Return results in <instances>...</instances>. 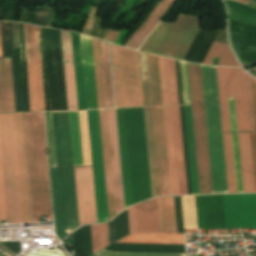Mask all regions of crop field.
Wrapping results in <instances>:
<instances>
[{
  "label": "crop field",
  "instance_id": "8a807250",
  "mask_svg": "<svg viewBox=\"0 0 256 256\" xmlns=\"http://www.w3.org/2000/svg\"><path fill=\"white\" fill-rule=\"evenodd\" d=\"M126 208L152 198L143 108L117 109Z\"/></svg>",
  "mask_w": 256,
  "mask_h": 256
},
{
  "label": "crop field",
  "instance_id": "ac0d7876",
  "mask_svg": "<svg viewBox=\"0 0 256 256\" xmlns=\"http://www.w3.org/2000/svg\"><path fill=\"white\" fill-rule=\"evenodd\" d=\"M57 168H51L56 234L66 238L79 227L67 112L52 113Z\"/></svg>",
  "mask_w": 256,
  "mask_h": 256
},
{
  "label": "crop field",
  "instance_id": "34b2d1b8",
  "mask_svg": "<svg viewBox=\"0 0 256 256\" xmlns=\"http://www.w3.org/2000/svg\"><path fill=\"white\" fill-rule=\"evenodd\" d=\"M32 222L51 215L43 113H24Z\"/></svg>",
  "mask_w": 256,
  "mask_h": 256
},
{
  "label": "crop field",
  "instance_id": "412701ff",
  "mask_svg": "<svg viewBox=\"0 0 256 256\" xmlns=\"http://www.w3.org/2000/svg\"><path fill=\"white\" fill-rule=\"evenodd\" d=\"M201 70L213 193H227L215 67Z\"/></svg>",
  "mask_w": 256,
  "mask_h": 256
},
{
  "label": "crop field",
  "instance_id": "f4fd0767",
  "mask_svg": "<svg viewBox=\"0 0 256 256\" xmlns=\"http://www.w3.org/2000/svg\"><path fill=\"white\" fill-rule=\"evenodd\" d=\"M198 29V16L179 13L174 24L161 21L140 50L183 60Z\"/></svg>",
  "mask_w": 256,
  "mask_h": 256
},
{
  "label": "crop field",
  "instance_id": "dd49c442",
  "mask_svg": "<svg viewBox=\"0 0 256 256\" xmlns=\"http://www.w3.org/2000/svg\"><path fill=\"white\" fill-rule=\"evenodd\" d=\"M200 194L212 193L200 65L187 63Z\"/></svg>",
  "mask_w": 256,
  "mask_h": 256
},
{
  "label": "crop field",
  "instance_id": "e52e79f7",
  "mask_svg": "<svg viewBox=\"0 0 256 256\" xmlns=\"http://www.w3.org/2000/svg\"><path fill=\"white\" fill-rule=\"evenodd\" d=\"M117 108L143 106L138 52L110 44Z\"/></svg>",
  "mask_w": 256,
  "mask_h": 256
},
{
  "label": "crop field",
  "instance_id": "d8731c3e",
  "mask_svg": "<svg viewBox=\"0 0 256 256\" xmlns=\"http://www.w3.org/2000/svg\"><path fill=\"white\" fill-rule=\"evenodd\" d=\"M7 223H21L13 114H0Z\"/></svg>",
  "mask_w": 256,
  "mask_h": 256
},
{
  "label": "crop field",
  "instance_id": "5a996713",
  "mask_svg": "<svg viewBox=\"0 0 256 256\" xmlns=\"http://www.w3.org/2000/svg\"><path fill=\"white\" fill-rule=\"evenodd\" d=\"M222 132L231 131L227 97H234L237 131H248L242 69L216 67Z\"/></svg>",
  "mask_w": 256,
  "mask_h": 256
},
{
  "label": "crop field",
  "instance_id": "3316defc",
  "mask_svg": "<svg viewBox=\"0 0 256 256\" xmlns=\"http://www.w3.org/2000/svg\"><path fill=\"white\" fill-rule=\"evenodd\" d=\"M31 111H45L39 28L24 24Z\"/></svg>",
  "mask_w": 256,
  "mask_h": 256
},
{
  "label": "crop field",
  "instance_id": "28ad6ade",
  "mask_svg": "<svg viewBox=\"0 0 256 256\" xmlns=\"http://www.w3.org/2000/svg\"><path fill=\"white\" fill-rule=\"evenodd\" d=\"M22 223L31 222L23 113L14 114Z\"/></svg>",
  "mask_w": 256,
  "mask_h": 256
},
{
  "label": "crop field",
  "instance_id": "d1516ede",
  "mask_svg": "<svg viewBox=\"0 0 256 256\" xmlns=\"http://www.w3.org/2000/svg\"><path fill=\"white\" fill-rule=\"evenodd\" d=\"M74 171L80 226L97 223L91 167H74Z\"/></svg>",
  "mask_w": 256,
  "mask_h": 256
},
{
  "label": "crop field",
  "instance_id": "22f410ed",
  "mask_svg": "<svg viewBox=\"0 0 256 256\" xmlns=\"http://www.w3.org/2000/svg\"><path fill=\"white\" fill-rule=\"evenodd\" d=\"M198 229H225L221 195L195 196Z\"/></svg>",
  "mask_w": 256,
  "mask_h": 256
},
{
  "label": "crop field",
  "instance_id": "cbeb9de0",
  "mask_svg": "<svg viewBox=\"0 0 256 256\" xmlns=\"http://www.w3.org/2000/svg\"><path fill=\"white\" fill-rule=\"evenodd\" d=\"M152 111H153L160 191H161V195H170L162 107H152Z\"/></svg>",
  "mask_w": 256,
  "mask_h": 256
},
{
  "label": "crop field",
  "instance_id": "5142ce71",
  "mask_svg": "<svg viewBox=\"0 0 256 256\" xmlns=\"http://www.w3.org/2000/svg\"><path fill=\"white\" fill-rule=\"evenodd\" d=\"M116 214L123 210L114 110H106Z\"/></svg>",
  "mask_w": 256,
  "mask_h": 256
},
{
  "label": "crop field",
  "instance_id": "d9b57169",
  "mask_svg": "<svg viewBox=\"0 0 256 256\" xmlns=\"http://www.w3.org/2000/svg\"><path fill=\"white\" fill-rule=\"evenodd\" d=\"M80 40L87 109H97L91 38L80 35Z\"/></svg>",
  "mask_w": 256,
  "mask_h": 256
},
{
  "label": "crop field",
  "instance_id": "733c2abd",
  "mask_svg": "<svg viewBox=\"0 0 256 256\" xmlns=\"http://www.w3.org/2000/svg\"><path fill=\"white\" fill-rule=\"evenodd\" d=\"M67 106L77 110L70 32L60 31Z\"/></svg>",
  "mask_w": 256,
  "mask_h": 256
},
{
  "label": "crop field",
  "instance_id": "4a817a6b",
  "mask_svg": "<svg viewBox=\"0 0 256 256\" xmlns=\"http://www.w3.org/2000/svg\"><path fill=\"white\" fill-rule=\"evenodd\" d=\"M174 1L175 0H162L153 10L143 26L131 36L126 44V47L137 50L145 38L162 19Z\"/></svg>",
  "mask_w": 256,
  "mask_h": 256
},
{
  "label": "crop field",
  "instance_id": "bc2a9ffb",
  "mask_svg": "<svg viewBox=\"0 0 256 256\" xmlns=\"http://www.w3.org/2000/svg\"><path fill=\"white\" fill-rule=\"evenodd\" d=\"M99 116H100L101 138H102L108 215H109V219H111L112 217L115 216V210H114V200H113V189H112V178H111V168H110V157H109L105 110L99 111Z\"/></svg>",
  "mask_w": 256,
  "mask_h": 256
},
{
  "label": "crop field",
  "instance_id": "214f88e0",
  "mask_svg": "<svg viewBox=\"0 0 256 256\" xmlns=\"http://www.w3.org/2000/svg\"><path fill=\"white\" fill-rule=\"evenodd\" d=\"M171 111H172L179 191H180V195H184V194H187V189H186V178H185V167H184V156H183V144H182L179 106L171 107Z\"/></svg>",
  "mask_w": 256,
  "mask_h": 256
},
{
  "label": "crop field",
  "instance_id": "92a150f3",
  "mask_svg": "<svg viewBox=\"0 0 256 256\" xmlns=\"http://www.w3.org/2000/svg\"><path fill=\"white\" fill-rule=\"evenodd\" d=\"M138 233L160 232L156 199L135 205Z\"/></svg>",
  "mask_w": 256,
  "mask_h": 256
},
{
  "label": "crop field",
  "instance_id": "dafd665d",
  "mask_svg": "<svg viewBox=\"0 0 256 256\" xmlns=\"http://www.w3.org/2000/svg\"><path fill=\"white\" fill-rule=\"evenodd\" d=\"M163 112L167 145L170 190L171 195H179L170 107H163Z\"/></svg>",
  "mask_w": 256,
  "mask_h": 256
},
{
  "label": "crop field",
  "instance_id": "00972430",
  "mask_svg": "<svg viewBox=\"0 0 256 256\" xmlns=\"http://www.w3.org/2000/svg\"><path fill=\"white\" fill-rule=\"evenodd\" d=\"M243 192H254L248 133H237Z\"/></svg>",
  "mask_w": 256,
  "mask_h": 256
},
{
  "label": "crop field",
  "instance_id": "a9b5d70f",
  "mask_svg": "<svg viewBox=\"0 0 256 256\" xmlns=\"http://www.w3.org/2000/svg\"><path fill=\"white\" fill-rule=\"evenodd\" d=\"M144 112H145L152 192H153V197H155V196L160 195V191H159V181H158V171H157V161H156V151H155V141H154V131H153L151 107L144 108Z\"/></svg>",
  "mask_w": 256,
  "mask_h": 256
},
{
  "label": "crop field",
  "instance_id": "4177f3b9",
  "mask_svg": "<svg viewBox=\"0 0 256 256\" xmlns=\"http://www.w3.org/2000/svg\"><path fill=\"white\" fill-rule=\"evenodd\" d=\"M183 110H184L191 190H192V194H199L190 106H183Z\"/></svg>",
  "mask_w": 256,
  "mask_h": 256
},
{
  "label": "crop field",
  "instance_id": "730fd06b",
  "mask_svg": "<svg viewBox=\"0 0 256 256\" xmlns=\"http://www.w3.org/2000/svg\"><path fill=\"white\" fill-rule=\"evenodd\" d=\"M216 41L227 43L225 29L220 31ZM214 41L204 63L211 64L213 57H220L219 64L221 66H239L235 56L233 55L229 45Z\"/></svg>",
  "mask_w": 256,
  "mask_h": 256
},
{
  "label": "crop field",
  "instance_id": "eef30255",
  "mask_svg": "<svg viewBox=\"0 0 256 256\" xmlns=\"http://www.w3.org/2000/svg\"><path fill=\"white\" fill-rule=\"evenodd\" d=\"M117 242L184 244L183 234H130Z\"/></svg>",
  "mask_w": 256,
  "mask_h": 256
},
{
  "label": "crop field",
  "instance_id": "ae1a2a85",
  "mask_svg": "<svg viewBox=\"0 0 256 256\" xmlns=\"http://www.w3.org/2000/svg\"><path fill=\"white\" fill-rule=\"evenodd\" d=\"M161 232L177 233L173 197L157 198Z\"/></svg>",
  "mask_w": 256,
  "mask_h": 256
},
{
  "label": "crop field",
  "instance_id": "d3111659",
  "mask_svg": "<svg viewBox=\"0 0 256 256\" xmlns=\"http://www.w3.org/2000/svg\"><path fill=\"white\" fill-rule=\"evenodd\" d=\"M100 54L106 108H114L108 43L100 41Z\"/></svg>",
  "mask_w": 256,
  "mask_h": 256
},
{
  "label": "crop field",
  "instance_id": "750c4746",
  "mask_svg": "<svg viewBox=\"0 0 256 256\" xmlns=\"http://www.w3.org/2000/svg\"><path fill=\"white\" fill-rule=\"evenodd\" d=\"M73 166L83 165L78 112H68Z\"/></svg>",
  "mask_w": 256,
  "mask_h": 256
},
{
  "label": "crop field",
  "instance_id": "bd1437ed",
  "mask_svg": "<svg viewBox=\"0 0 256 256\" xmlns=\"http://www.w3.org/2000/svg\"><path fill=\"white\" fill-rule=\"evenodd\" d=\"M249 131H256V80L243 71Z\"/></svg>",
  "mask_w": 256,
  "mask_h": 256
},
{
  "label": "crop field",
  "instance_id": "1d83c4d3",
  "mask_svg": "<svg viewBox=\"0 0 256 256\" xmlns=\"http://www.w3.org/2000/svg\"><path fill=\"white\" fill-rule=\"evenodd\" d=\"M147 59L152 106L162 105L157 57L147 54Z\"/></svg>",
  "mask_w": 256,
  "mask_h": 256
},
{
  "label": "crop field",
  "instance_id": "120bbe31",
  "mask_svg": "<svg viewBox=\"0 0 256 256\" xmlns=\"http://www.w3.org/2000/svg\"><path fill=\"white\" fill-rule=\"evenodd\" d=\"M228 193L236 192L231 133L223 134Z\"/></svg>",
  "mask_w": 256,
  "mask_h": 256
},
{
  "label": "crop field",
  "instance_id": "d32e631a",
  "mask_svg": "<svg viewBox=\"0 0 256 256\" xmlns=\"http://www.w3.org/2000/svg\"><path fill=\"white\" fill-rule=\"evenodd\" d=\"M110 244L129 234L127 210L108 223Z\"/></svg>",
  "mask_w": 256,
  "mask_h": 256
},
{
  "label": "crop field",
  "instance_id": "5866460e",
  "mask_svg": "<svg viewBox=\"0 0 256 256\" xmlns=\"http://www.w3.org/2000/svg\"><path fill=\"white\" fill-rule=\"evenodd\" d=\"M92 43H93V54H94L97 103H98V109H102V108H105V104H104V94H103V84H102V74H101V64H100L99 44H98V40L93 38H92Z\"/></svg>",
  "mask_w": 256,
  "mask_h": 256
},
{
  "label": "crop field",
  "instance_id": "028f5c9d",
  "mask_svg": "<svg viewBox=\"0 0 256 256\" xmlns=\"http://www.w3.org/2000/svg\"><path fill=\"white\" fill-rule=\"evenodd\" d=\"M184 229H197L194 196L181 197Z\"/></svg>",
  "mask_w": 256,
  "mask_h": 256
},
{
  "label": "crop field",
  "instance_id": "e1f06a70",
  "mask_svg": "<svg viewBox=\"0 0 256 256\" xmlns=\"http://www.w3.org/2000/svg\"><path fill=\"white\" fill-rule=\"evenodd\" d=\"M5 72L7 112H15L11 60H3Z\"/></svg>",
  "mask_w": 256,
  "mask_h": 256
},
{
  "label": "crop field",
  "instance_id": "0bd39190",
  "mask_svg": "<svg viewBox=\"0 0 256 256\" xmlns=\"http://www.w3.org/2000/svg\"><path fill=\"white\" fill-rule=\"evenodd\" d=\"M84 165H91L86 111L79 112Z\"/></svg>",
  "mask_w": 256,
  "mask_h": 256
},
{
  "label": "crop field",
  "instance_id": "b80d0937",
  "mask_svg": "<svg viewBox=\"0 0 256 256\" xmlns=\"http://www.w3.org/2000/svg\"><path fill=\"white\" fill-rule=\"evenodd\" d=\"M139 57L144 106H151L146 54L139 52Z\"/></svg>",
  "mask_w": 256,
  "mask_h": 256
},
{
  "label": "crop field",
  "instance_id": "c035e120",
  "mask_svg": "<svg viewBox=\"0 0 256 256\" xmlns=\"http://www.w3.org/2000/svg\"><path fill=\"white\" fill-rule=\"evenodd\" d=\"M163 105H170L166 58L158 57Z\"/></svg>",
  "mask_w": 256,
  "mask_h": 256
},
{
  "label": "crop field",
  "instance_id": "c21b1889",
  "mask_svg": "<svg viewBox=\"0 0 256 256\" xmlns=\"http://www.w3.org/2000/svg\"><path fill=\"white\" fill-rule=\"evenodd\" d=\"M167 63H168L171 105H175V104H179L176 73H175V64H174V60L168 59V58H167Z\"/></svg>",
  "mask_w": 256,
  "mask_h": 256
},
{
  "label": "crop field",
  "instance_id": "03da06ac",
  "mask_svg": "<svg viewBox=\"0 0 256 256\" xmlns=\"http://www.w3.org/2000/svg\"><path fill=\"white\" fill-rule=\"evenodd\" d=\"M179 66L183 104H190L186 63L179 61Z\"/></svg>",
  "mask_w": 256,
  "mask_h": 256
},
{
  "label": "crop field",
  "instance_id": "b54c1fbb",
  "mask_svg": "<svg viewBox=\"0 0 256 256\" xmlns=\"http://www.w3.org/2000/svg\"><path fill=\"white\" fill-rule=\"evenodd\" d=\"M232 138H233V150H234L237 192H242L236 133H232Z\"/></svg>",
  "mask_w": 256,
  "mask_h": 256
},
{
  "label": "crop field",
  "instance_id": "5d738f31",
  "mask_svg": "<svg viewBox=\"0 0 256 256\" xmlns=\"http://www.w3.org/2000/svg\"><path fill=\"white\" fill-rule=\"evenodd\" d=\"M0 57H2L1 39H0ZM0 112H6L2 58H0Z\"/></svg>",
  "mask_w": 256,
  "mask_h": 256
},
{
  "label": "crop field",
  "instance_id": "d23c7cc5",
  "mask_svg": "<svg viewBox=\"0 0 256 256\" xmlns=\"http://www.w3.org/2000/svg\"><path fill=\"white\" fill-rule=\"evenodd\" d=\"M96 255L100 256H185V254H136V253H113L109 251H101Z\"/></svg>",
  "mask_w": 256,
  "mask_h": 256
},
{
  "label": "crop field",
  "instance_id": "425ffa30",
  "mask_svg": "<svg viewBox=\"0 0 256 256\" xmlns=\"http://www.w3.org/2000/svg\"><path fill=\"white\" fill-rule=\"evenodd\" d=\"M0 218H1V221H6L2 161H1V147H0Z\"/></svg>",
  "mask_w": 256,
  "mask_h": 256
},
{
  "label": "crop field",
  "instance_id": "25e5ab78",
  "mask_svg": "<svg viewBox=\"0 0 256 256\" xmlns=\"http://www.w3.org/2000/svg\"><path fill=\"white\" fill-rule=\"evenodd\" d=\"M249 137H250L254 187H255V192H256V132L255 133H249Z\"/></svg>",
  "mask_w": 256,
  "mask_h": 256
},
{
  "label": "crop field",
  "instance_id": "73cf0c24",
  "mask_svg": "<svg viewBox=\"0 0 256 256\" xmlns=\"http://www.w3.org/2000/svg\"><path fill=\"white\" fill-rule=\"evenodd\" d=\"M93 253L101 250L98 225H91Z\"/></svg>",
  "mask_w": 256,
  "mask_h": 256
},
{
  "label": "crop field",
  "instance_id": "89e229c0",
  "mask_svg": "<svg viewBox=\"0 0 256 256\" xmlns=\"http://www.w3.org/2000/svg\"><path fill=\"white\" fill-rule=\"evenodd\" d=\"M102 248L109 245L107 223L99 225Z\"/></svg>",
  "mask_w": 256,
  "mask_h": 256
},
{
  "label": "crop field",
  "instance_id": "1f2cbd36",
  "mask_svg": "<svg viewBox=\"0 0 256 256\" xmlns=\"http://www.w3.org/2000/svg\"><path fill=\"white\" fill-rule=\"evenodd\" d=\"M130 233H137L134 206L128 209Z\"/></svg>",
  "mask_w": 256,
  "mask_h": 256
},
{
  "label": "crop field",
  "instance_id": "dbb93151",
  "mask_svg": "<svg viewBox=\"0 0 256 256\" xmlns=\"http://www.w3.org/2000/svg\"><path fill=\"white\" fill-rule=\"evenodd\" d=\"M232 131H236L233 98H228Z\"/></svg>",
  "mask_w": 256,
  "mask_h": 256
},
{
  "label": "crop field",
  "instance_id": "0fb4a251",
  "mask_svg": "<svg viewBox=\"0 0 256 256\" xmlns=\"http://www.w3.org/2000/svg\"><path fill=\"white\" fill-rule=\"evenodd\" d=\"M14 242H18V241H14ZM2 246H4L6 249L19 254L20 252V247H19V243H0Z\"/></svg>",
  "mask_w": 256,
  "mask_h": 256
},
{
  "label": "crop field",
  "instance_id": "1d79db26",
  "mask_svg": "<svg viewBox=\"0 0 256 256\" xmlns=\"http://www.w3.org/2000/svg\"><path fill=\"white\" fill-rule=\"evenodd\" d=\"M119 33L120 31H113L108 29L103 39L114 43Z\"/></svg>",
  "mask_w": 256,
  "mask_h": 256
},
{
  "label": "crop field",
  "instance_id": "9d1cf04e",
  "mask_svg": "<svg viewBox=\"0 0 256 256\" xmlns=\"http://www.w3.org/2000/svg\"><path fill=\"white\" fill-rule=\"evenodd\" d=\"M128 32L129 30L123 29L122 32L119 34L118 38L116 39L115 43L119 45Z\"/></svg>",
  "mask_w": 256,
  "mask_h": 256
},
{
  "label": "crop field",
  "instance_id": "447ae74e",
  "mask_svg": "<svg viewBox=\"0 0 256 256\" xmlns=\"http://www.w3.org/2000/svg\"><path fill=\"white\" fill-rule=\"evenodd\" d=\"M237 1H240V2H242V3L246 4V5H248L251 0H237Z\"/></svg>",
  "mask_w": 256,
  "mask_h": 256
},
{
  "label": "crop field",
  "instance_id": "0765c3eb",
  "mask_svg": "<svg viewBox=\"0 0 256 256\" xmlns=\"http://www.w3.org/2000/svg\"><path fill=\"white\" fill-rule=\"evenodd\" d=\"M256 68V67H255ZM251 69H254V68H251ZM248 70H250V69H248Z\"/></svg>",
  "mask_w": 256,
  "mask_h": 256
}]
</instances>
